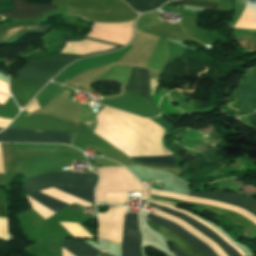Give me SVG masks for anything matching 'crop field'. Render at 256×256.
I'll list each match as a JSON object with an SVG mask.
<instances>
[{"instance_id":"obj_14","label":"crop field","mask_w":256,"mask_h":256,"mask_svg":"<svg viewBox=\"0 0 256 256\" xmlns=\"http://www.w3.org/2000/svg\"><path fill=\"white\" fill-rule=\"evenodd\" d=\"M39 86L10 83L11 93L18 105L25 106L30 99L41 89Z\"/></svg>"},{"instance_id":"obj_15","label":"crop field","mask_w":256,"mask_h":256,"mask_svg":"<svg viewBox=\"0 0 256 256\" xmlns=\"http://www.w3.org/2000/svg\"><path fill=\"white\" fill-rule=\"evenodd\" d=\"M45 27L46 25L38 24V23H23V24L3 27V28H0V42L14 35H17L21 32H26L30 30L43 31Z\"/></svg>"},{"instance_id":"obj_2","label":"crop field","mask_w":256,"mask_h":256,"mask_svg":"<svg viewBox=\"0 0 256 256\" xmlns=\"http://www.w3.org/2000/svg\"><path fill=\"white\" fill-rule=\"evenodd\" d=\"M83 39H88V40H93L97 41L94 39L90 38H82V39H77L73 40L69 38L68 36L64 35V47L66 46V42H71V41H78V40H83ZM101 42V41H97ZM106 43V42H102ZM111 44V43H107ZM115 45V44H111ZM119 46V45H116ZM64 47L56 54L52 55L48 59L45 60H39V61H28L25 60V65L23 68H21L15 75L17 78L20 79H27V80H34V81H41V82H47L56 72H58L60 69H62L65 65H67L70 61L82 57L84 55L88 54H94V53H100V52H106L110 50H114L123 46H119L116 48H111L107 50H102V51H97L93 53H88V54H60L61 51L64 49Z\"/></svg>"},{"instance_id":"obj_27","label":"crop field","mask_w":256,"mask_h":256,"mask_svg":"<svg viewBox=\"0 0 256 256\" xmlns=\"http://www.w3.org/2000/svg\"><path fill=\"white\" fill-rule=\"evenodd\" d=\"M157 183H159L158 181H156Z\"/></svg>"},{"instance_id":"obj_24","label":"crop field","mask_w":256,"mask_h":256,"mask_svg":"<svg viewBox=\"0 0 256 256\" xmlns=\"http://www.w3.org/2000/svg\"><path fill=\"white\" fill-rule=\"evenodd\" d=\"M0 217H5V216H4V213H3V211H2L1 205H0Z\"/></svg>"},{"instance_id":"obj_5","label":"crop field","mask_w":256,"mask_h":256,"mask_svg":"<svg viewBox=\"0 0 256 256\" xmlns=\"http://www.w3.org/2000/svg\"><path fill=\"white\" fill-rule=\"evenodd\" d=\"M74 135L57 131L6 129L0 133V142L63 143L72 145Z\"/></svg>"},{"instance_id":"obj_3","label":"crop field","mask_w":256,"mask_h":256,"mask_svg":"<svg viewBox=\"0 0 256 256\" xmlns=\"http://www.w3.org/2000/svg\"><path fill=\"white\" fill-rule=\"evenodd\" d=\"M146 219L154 221L162 225L163 227L173 231L174 233H176L177 235L185 239L187 242H189L191 245L198 248L205 256H217L208 245L196 239L192 234L188 233L187 231H185L183 228L179 227L175 223L159 218L151 213L147 215ZM163 227H161L160 230L169 236L170 240L173 243V246L178 248L180 251L186 253L188 256H204L198 249L194 248L185 240H183L173 232ZM175 247L173 248L176 256H187L186 254L177 250Z\"/></svg>"},{"instance_id":"obj_1","label":"crop field","mask_w":256,"mask_h":256,"mask_svg":"<svg viewBox=\"0 0 256 256\" xmlns=\"http://www.w3.org/2000/svg\"><path fill=\"white\" fill-rule=\"evenodd\" d=\"M52 4L67 6V15L95 22L128 21L138 16L121 0H53Z\"/></svg>"},{"instance_id":"obj_20","label":"crop field","mask_w":256,"mask_h":256,"mask_svg":"<svg viewBox=\"0 0 256 256\" xmlns=\"http://www.w3.org/2000/svg\"><path fill=\"white\" fill-rule=\"evenodd\" d=\"M130 67L113 66L112 70L99 80L125 82Z\"/></svg>"},{"instance_id":"obj_25","label":"crop field","mask_w":256,"mask_h":256,"mask_svg":"<svg viewBox=\"0 0 256 256\" xmlns=\"http://www.w3.org/2000/svg\"><path fill=\"white\" fill-rule=\"evenodd\" d=\"M249 2L256 4V0H249Z\"/></svg>"},{"instance_id":"obj_13","label":"crop field","mask_w":256,"mask_h":256,"mask_svg":"<svg viewBox=\"0 0 256 256\" xmlns=\"http://www.w3.org/2000/svg\"><path fill=\"white\" fill-rule=\"evenodd\" d=\"M169 61V44L166 40L160 38L154 52L149 61L148 67L150 69L163 70Z\"/></svg>"},{"instance_id":"obj_10","label":"crop field","mask_w":256,"mask_h":256,"mask_svg":"<svg viewBox=\"0 0 256 256\" xmlns=\"http://www.w3.org/2000/svg\"><path fill=\"white\" fill-rule=\"evenodd\" d=\"M147 206L157 208V209H159L163 212H166V213H169L171 215H174V216H177V217L181 218L186 223H188L189 225L194 227L196 230H198L199 232H201L205 236H207L210 239H212L213 241H215L219 245V247L226 253L227 256H241L237 251L234 250V248L232 246H230L226 241H224L219 235L212 232L211 230H209L208 228H206L202 224L194 221L193 219H191V218H189V217H187V216H185L181 213H178V212H176L172 209L166 208V207L151 205V204H148Z\"/></svg>"},{"instance_id":"obj_8","label":"crop field","mask_w":256,"mask_h":256,"mask_svg":"<svg viewBox=\"0 0 256 256\" xmlns=\"http://www.w3.org/2000/svg\"><path fill=\"white\" fill-rule=\"evenodd\" d=\"M139 233L140 230L137 223V214H128L125 221L122 240L123 256H138L140 242ZM139 256H143L141 252V243Z\"/></svg>"},{"instance_id":"obj_26","label":"crop field","mask_w":256,"mask_h":256,"mask_svg":"<svg viewBox=\"0 0 256 256\" xmlns=\"http://www.w3.org/2000/svg\"><path fill=\"white\" fill-rule=\"evenodd\" d=\"M0 107H2V104H0Z\"/></svg>"},{"instance_id":"obj_12","label":"crop field","mask_w":256,"mask_h":256,"mask_svg":"<svg viewBox=\"0 0 256 256\" xmlns=\"http://www.w3.org/2000/svg\"><path fill=\"white\" fill-rule=\"evenodd\" d=\"M138 70H139V76L141 81L142 93L144 96L151 99L150 84H149V77H148L147 70L141 69V68H138ZM138 70L137 68L131 69L130 76L125 89L142 95L139 76H138Z\"/></svg>"},{"instance_id":"obj_19","label":"crop field","mask_w":256,"mask_h":256,"mask_svg":"<svg viewBox=\"0 0 256 256\" xmlns=\"http://www.w3.org/2000/svg\"><path fill=\"white\" fill-rule=\"evenodd\" d=\"M133 9L140 11L141 13L154 10L164 4L168 0H124Z\"/></svg>"},{"instance_id":"obj_22","label":"crop field","mask_w":256,"mask_h":256,"mask_svg":"<svg viewBox=\"0 0 256 256\" xmlns=\"http://www.w3.org/2000/svg\"><path fill=\"white\" fill-rule=\"evenodd\" d=\"M79 124L86 126L90 130H93V128L95 126V117H94L91 109L83 107Z\"/></svg>"},{"instance_id":"obj_21","label":"crop field","mask_w":256,"mask_h":256,"mask_svg":"<svg viewBox=\"0 0 256 256\" xmlns=\"http://www.w3.org/2000/svg\"><path fill=\"white\" fill-rule=\"evenodd\" d=\"M180 4L199 6V7L211 8V9H216L218 5L216 3H210V2L199 1V0H180V1H174V2L168 3V5H174V6H178Z\"/></svg>"},{"instance_id":"obj_4","label":"crop field","mask_w":256,"mask_h":256,"mask_svg":"<svg viewBox=\"0 0 256 256\" xmlns=\"http://www.w3.org/2000/svg\"><path fill=\"white\" fill-rule=\"evenodd\" d=\"M98 182L97 175L74 173H50L26 179L22 185L24 193H32L52 186L94 188Z\"/></svg>"},{"instance_id":"obj_23","label":"crop field","mask_w":256,"mask_h":256,"mask_svg":"<svg viewBox=\"0 0 256 256\" xmlns=\"http://www.w3.org/2000/svg\"><path fill=\"white\" fill-rule=\"evenodd\" d=\"M244 119L250 127L256 129V113L244 116Z\"/></svg>"},{"instance_id":"obj_18","label":"crop field","mask_w":256,"mask_h":256,"mask_svg":"<svg viewBox=\"0 0 256 256\" xmlns=\"http://www.w3.org/2000/svg\"><path fill=\"white\" fill-rule=\"evenodd\" d=\"M240 96L251 107L256 108V68L253 70L249 80L241 88Z\"/></svg>"},{"instance_id":"obj_6","label":"crop field","mask_w":256,"mask_h":256,"mask_svg":"<svg viewBox=\"0 0 256 256\" xmlns=\"http://www.w3.org/2000/svg\"><path fill=\"white\" fill-rule=\"evenodd\" d=\"M15 12L0 13L1 16L8 18H40L42 12H48L57 9L58 6L43 5L37 3H27L25 0H13ZM12 0H0V12L14 11Z\"/></svg>"},{"instance_id":"obj_9","label":"crop field","mask_w":256,"mask_h":256,"mask_svg":"<svg viewBox=\"0 0 256 256\" xmlns=\"http://www.w3.org/2000/svg\"><path fill=\"white\" fill-rule=\"evenodd\" d=\"M189 195L193 197L213 199L230 205L241 207L242 209L256 216V200L248 196L243 197L238 194L222 191H214L211 193H197L190 191Z\"/></svg>"},{"instance_id":"obj_28","label":"crop field","mask_w":256,"mask_h":256,"mask_svg":"<svg viewBox=\"0 0 256 256\" xmlns=\"http://www.w3.org/2000/svg\"><path fill=\"white\" fill-rule=\"evenodd\" d=\"M0 130H2V129L0 128Z\"/></svg>"},{"instance_id":"obj_7","label":"crop field","mask_w":256,"mask_h":256,"mask_svg":"<svg viewBox=\"0 0 256 256\" xmlns=\"http://www.w3.org/2000/svg\"><path fill=\"white\" fill-rule=\"evenodd\" d=\"M57 189L73 196L78 199L87 201L91 204H93V197H94V189H83V188H65V187H56ZM31 198H33L38 203L42 204L46 208L50 209L54 213L58 211L63 206H66L68 204L61 202L59 200H56L52 197H49L47 195H44L40 192L28 194Z\"/></svg>"},{"instance_id":"obj_16","label":"crop field","mask_w":256,"mask_h":256,"mask_svg":"<svg viewBox=\"0 0 256 256\" xmlns=\"http://www.w3.org/2000/svg\"><path fill=\"white\" fill-rule=\"evenodd\" d=\"M137 164L174 168L168 155L128 156Z\"/></svg>"},{"instance_id":"obj_11","label":"crop field","mask_w":256,"mask_h":256,"mask_svg":"<svg viewBox=\"0 0 256 256\" xmlns=\"http://www.w3.org/2000/svg\"><path fill=\"white\" fill-rule=\"evenodd\" d=\"M150 196L153 199H159V200H165V201H170V202H176V203L189 204V205L203 207L211 212H214L216 214L230 218L231 221L235 222L236 224H238L239 226H241L243 228L256 231V224L250 222L249 220L243 218L242 216H240L234 212H231V211H228V210H225L222 208L188 202V201H183V200H178V199H173V198H168V197H162V196H157V195H152V194H150Z\"/></svg>"},{"instance_id":"obj_17","label":"crop field","mask_w":256,"mask_h":256,"mask_svg":"<svg viewBox=\"0 0 256 256\" xmlns=\"http://www.w3.org/2000/svg\"><path fill=\"white\" fill-rule=\"evenodd\" d=\"M63 248L75 256H96L99 251L87 245L84 241H64Z\"/></svg>"}]
</instances>
